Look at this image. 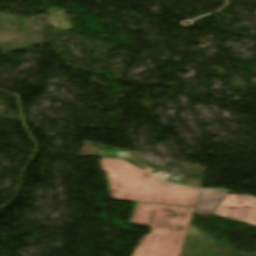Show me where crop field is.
I'll list each match as a JSON object with an SVG mask.
<instances>
[{"label": "crop field", "instance_id": "34b2d1b8", "mask_svg": "<svg viewBox=\"0 0 256 256\" xmlns=\"http://www.w3.org/2000/svg\"><path fill=\"white\" fill-rule=\"evenodd\" d=\"M213 214L256 226V199L244 195H228Z\"/></svg>", "mask_w": 256, "mask_h": 256}, {"label": "crop field", "instance_id": "8a807250", "mask_svg": "<svg viewBox=\"0 0 256 256\" xmlns=\"http://www.w3.org/2000/svg\"><path fill=\"white\" fill-rule=\"evenodd\" d=\"M113 199L195 206L200 190L163 182L120 160L101 159Z\"/></svg>", "mask_w": 256, "mask_h": 256}, {"label": "crop field", "instance_id": "ac0d7876", "mask_svg": "<svg viewBox=\"0 0 256 256\" xmlns=\"http://www.w3.org/2000/svg\"><path fill=\"white\" fill-rule=\"evenodd\" d=\"M194 209L137 203L130 223L152 229L132 256H179Z\"/></svg>", "mask_w": 256, "mask_h": 256}, {"label": "crop field", "instance_id": "412701ff", "mask_svg": "<svg viewBox=\"0 0 256 256\" xmlns=\"http://www.w3.org/2000/svg\"><path fill=\"white\" fill-rule=\"evenodd\" d=\"M228 194L224 190L202 189L194 213L211 215Z\"/></svg>", "mask_w": 256, "mask_h": 256}]
</instances>
